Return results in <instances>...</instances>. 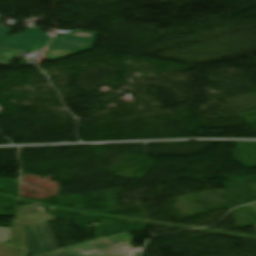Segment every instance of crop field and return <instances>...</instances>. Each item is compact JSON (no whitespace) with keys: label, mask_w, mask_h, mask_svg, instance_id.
I'll return each instance as SVG.
<instances>
[{"label":"crop field","mask_w":256,"mask_h":256,"mask_svg":"<svg viewBox=\"0 0 256 256\" xmlns=\"http://www.w3.org/2000/svg\"><path fill=\"white\" fill-rule=\"evenodd\" d=\"M70 35H72V36H88V37H95L96 33L74 31V32H72Z\"/></svg>","instance_id":"obj_7"},{"label":"crop field","mask_w":256,"mask_h":256,"mask_svg":"<svg viewBox=\"0 0 256 256\" xmlns=\"http://www.w3.org/2000/svg\"><path fill=\"white\" fill-rule=\"evenodd\" d=\"M129 234L82 244L38 256H135Z\"/></svg>","instance_id":"obj_1"},{"label":"crop field","mask_w":256,"mask_h":256,"mask_svg":"<svg viewBox=\"0 0 256 256\" xmlns=\"http://www.w3.org/2000/svg\"><path fill=\"white\" fill-rule=\"evenodd\" d=\"M95 38L55 36L48 46V62L68 55L92 49Z\"/></svg>","instance_id":"obj_5"},{"label":"crop field","mask_w":256,"mask_h":256,"mask_svg":"<svg viewBox=\"0 0 256 256\" xmlns=\"http://www.w3.org/2000/svg\"><path fill=\"white\" fill-rule=\"evenodd\" d=\"M11 31L9 28L0 27V38L6 36ZM17 53L18 51L16 50L0 48V65L8 66Z\"/></svg>","instance_id":"obj_6"},{"label":"crop field","mask_w":256,"mask_h":256,"mask_svg":"<svg viewBox=\"0 0 256 256\" xmlns=\"http://www.w3.org/2000/svg\"><path fill=\"white\" fill-rule=\"evenodd\" d=\"M38 204L21 206L18 209L10 244L0 243V256H28L22 226L55 220L39 209Z\"/></svg>","instance_id":"obj_2"},{"label":"crop field","mask_w":256,"mask_h":256,"mask_svg":"<svg viewBox=\"0 0 256 256\" xmlns=\"http://www.w3.org/2000/svg\"><path fill=\"white\" fill-rule=\"evenodd\" d=\"M31 256L58 250L47 222L23 227Z\"/></svg>","instance_id":"obj_4"},{"label":"crop field","mask_w":256,"mask_h":256,"mask_svg":"<svg viewBox=\"0 0 256 256\" xmlns=\"http://www.w3.org/2000/svg\"><path fill=\"white\" fill-rule=\"evenodd\" d=\"M50 39L40 29L27 27L23 33L1 38L0 47L34 52L44 48Z\"/></svg>","instance_id":"obj_3"}]
</instances>
